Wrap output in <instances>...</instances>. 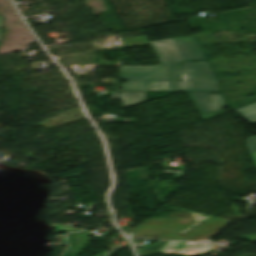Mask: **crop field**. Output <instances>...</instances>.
I'll return each instance as SVG.
<instances>
[{
	"label": "crop field",
	"instance_id": "obj_11",
	"mask_svg": "<svg viewBox=\"0 0 256 256\" xmlns=\"http://www.w3.org/2000/svg\"><path fill=\"white\" fill-rule=\"evenodd\" d=\"M248 151L256 165V136H250L247 140Z\"/></svg>",
	"mask_w": 256,
	"mask_h": 256
},
{
	"label": "crop field",
	"instance_id": "obj_5",
	"mask_svg": "<svg viewBox=\"0 0 256 256\" xmlns=\"http://www.w3.org/2000/svg\"><path fill=\"white\" fill-rule=\"evenodd\" d=\"M212 247L211 243H191L167 241L160 253L174 254L182 253L187 255H200L208 252Z\"/></svg>",
	"mask_w": 256,
	"mask_h": 256
},
{
	"label": "crop field",
	"instance_id": "obj_1",
	"mask_svg": "<svg viewBox=\"0 0 256 256\" xmlns=\"http://www.w3.org/2000/svg\"><path fill=\"white\" fill-rule=\"evenodd\" d=\"M183 214H167L168 218L149 219L131 236L156 235L158 239L208 240L231 221L179 209ZM201 222L203 224H201Z\"/></svg>",
	"mask_w": 256,
	"mask_h": 256
},
{
	"label": "crop field",
	"instance_id": "obj_2",
	"mask_svg": "<svg viewBox=\"0 0 256 256\" xmlns=\"http://www.w3.org/2000/svg\"><path fill=\"white\" fill-rule=\"evenodd\" d=\"M180 76L185 81V91L218 92V83L207 62H183Z\"/></svg>",
	"mask_w": 256,
	"mask_h": 256
},
{
	"label": "crop field",
	"instance_id": "obj_10",
	"mask_svg": "<svg viewBox=\"0 0 256 256\" xmlns=\"http://www.w3.org/2000/svg\"><path fill=\"white\" fill-rule=\"evenodd\" d=\"M251 123H256V103L233 110Z\"/></svg>",
	"mask_w": 256,
	"mask_h": 256
},
{
	"label": "crop field",
	"instance_id": "obj_9",
	"mask_svg": "<svg viewBox=\"0 0 256 256\" xmlns=\"http://www.w3.org/2000/svg\"><path fill=\"white\" fill-rule=\"evenodd\" d=\"M111 99H121L124 108L146 101L143 92L113 93L111 94Z\"/></svg>",
	"mask_w": 256,
	"mask_h": 256
},
{
	"label": "crop field",
	"instance_id": "obj_3",
	"mask_svg": "<svg viewBox=\"0 0 256 256\" xmlns=\"http://www.w3.org/2000/svg\"><path fill=\"white\" fill-rule=\"evenodd\" d=\"M180 64L159 66L119 67L121 80H173L179 79Z\"/></svg>",
	"mask_w": 256,
	"mask_h": 256
},
{
	"label": "crop field",
	"instance_id": "obj_12",
	"mask_svg": "<svg viewBox=\"0 0 256 256\" xmlns=\"http://www.w3.org/2000/svg\"><path fill=\"white\" fill-rule=\"evenodd\" d=\"M0 19H1V16H0Z\"/></svg>",
	"mask_w": 256,
	"mask_h": 256
},
{
	"label": "crop field",
	"instance_id": "obj_6",
	"mask_svg": "<svg viewBox=\"0 0 256 256\" xmlns=\"http://www.w3.org/2000/svg\"><path fill=\"white\" fill-rule=\"evenodd\" d=\"M122 90H177L184 91V82L173 81H128L122 83Z\"/></svg>",
	"mask_w": 256,
	"mask_h": 256
},
{
	"label": "crop field",
	"instance_id": "obj_8",
	"mask_svg": "<svg viewBox=\"0 0 256 256\" xmlns=\"http://www.w3.org/2000/svg\"><path fill=\"white\" fill-rule=\"evenodd\" d=\"M150 45L161 63L182 62L171 39L151 42Z\"/></svg>",
	"mask_w": 256,
	"mask_h": 256
},
{
	"label": "crop field",
	"instance_id": "obj_4",
	"mask_svg": "<svg viewBox=\"0 0 256 256\" xmlns=\"http://www.w3.org/2000/svg\"><path fill=\"white\" fill-rule=\"evenodd\" d=\"M202 121L222 114L226 107L219 94L186 93Z\"/></svg>",
	"mask_w": 256,
	"mask_h": 256
},
{
	"label": "crop field",
	"instance_id": "obj_7",
	"mask_svg": "<svg viewBox=\"0 0 256 256\" xmlns=\"http://www.w3.org/2000/svg\"><path fill=\"white\" fill-rule=\"evenodd\" d=\"M172 41L183 61L204 60L203 53L193 37L173 38Z\"/></svg>",
	"mask_w": 256,
	"mask_h": 256
}]
</instances>
